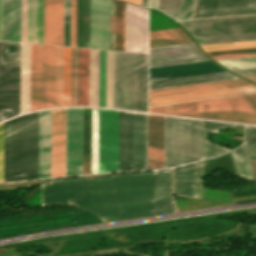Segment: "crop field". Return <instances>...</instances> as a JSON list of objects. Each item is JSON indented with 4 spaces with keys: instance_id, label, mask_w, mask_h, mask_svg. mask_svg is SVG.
<instances>
[{
    "instance_id": "8a807250",
    "label": "crop field",
    "mask_w": 256,
    "mask_h": 256,
    "mask_svg": "<svg viewBox=\"0 0 256 256\" xmlns=\"http://www.w3.org/2000/svg\"><path fill=\"white\" fill-rule=\"evenodd\" d=\"M50 182L41 185V206L76 205L102 222L153 215V173Z\"/></svg>"
},
{
    "instance_id": "ac0d7876",
    "label": "crop field",
    "mask_w": 256,
    "mask_h": 256,
    "mask_svg": "<svg viewBox=\"0 0 256 256\" xmlns=\"http://www.w3.org/2000/svg\"><path fill=\"white\" fill-rule=\"evenodd\" d=\"M148 112L256 124V94L153 106Z\"/></svg>"
},
{
    "instance_id": "34b2d1b8",
    "label": "crop field",
    "mask_w": 256,
    "mask_h": 256,
    "mask_svg": "<svg viewBox=\"0 0 256 256\" xmlns=\"http://www.w3.org/2000/svg\"><path fill=\"white\" fill-rule=\"evenodd\" d=\"M200 160V121L165 117V168Z\"/></svg>"
},
{
    "instance_id": "412701ff",
    "label": "crop field",
    "mask_w": 256,
    "mask_h": 256,
    "mask_svg": "<svg viewBox=\"0 0 256 256\" xmlns=\"http://www.w3.org/2000/svg\"><path fill=\"white\" fill-rule=\"evenodd\" d=\"M118 171V111L99 109V173Z\"/></svg>"
},
{
    "instance_id": "f4fd0767",
    "label": "crop field",
    "mask_w": 256,
    "mask_h": 256,
    "mask_svg": "<svg viewBox=\"0 0 256 256\" xmlns=\"http://www.w3.org/2000/svg\"><path fill=\"white\" fill-rule=\"evenodd\" d=\"M135 53L115 52L114 108L134 110Z\"/></svg>"
},
{
    "instance_id": "dd49c442",
    "label": "crop field",
    "mask_w": 256,
    "mask_h": 256,
    "mask_svg": "<svg viewBox=\"0 0 256 256\" xmlns=\"http://www.w3.org/2000/svg\"><path fill=\"white\" fill-rule=\"evenodd\" d=\"M82 175V108L66 109V176Z\"/></svg>"
},
{
    "instance_id": "e52e79f7",
    "label": "crop field",
    "mask_w": 256,
    "mask_h": 256,
    "mask_svg": "<svg viewBox=\"0 0 256 256\" xmlns=\"http://www.w3.org/2000/svg\"><path fill=\"white\" fill-rule=\"evenodd\" d=\"M148 10L125 2V51L147 53Z\"/></svg>"
},
{
    "instance_id": "d8731c3e",
    "label": "crop field",
    "mask_w": 256,
    "mask_h": 256,
    "mask_svg": "<svg viewBox=\"0 0 256 256\" xmlns=\"http://www.w3.org/2000/svg\"><path fill=\"white\" fill-rule=\"evenodd\" d=\"M256 13V0H195L191 19Z\"/></svg>"
},
{
    "instance_id": "5a996713",
    "label": "crop field",
    "mask_w": 256,
    "mask_h": 256,
    "mask_svg": "<svg viewBox=\"0 0 256 256\" xmlns=\"http://www.w3.org/2000/svg\"><path fill=\"white\" fill-rule=\"evenodd\" d=\"M206 60L194 43L149 49V68Z\"/></svg>"
},
{
    "instance_id": "3316defc",
    "label": "crop field",
    "mask_w": 256,
    "mask_h": 256,
    "mask_svg": "<svg viewBox=\"0 0 256 256\" xmlns=\"http://www.w3.org/2000/svg\"><path fill=\"white\" fill-rule=\"evenodd\" d=\"M89 48L109 49V0H89Z\"/></svg>"
},
{
    "instance_id": "28ad6ade",
    "label": "crop field",
    "mask_w": 256,
    "mask_h": 256,
    "mask_svg": "<svg viewBox=\"0 0 256 256\" xmlns=\"http://www.w3.org/2000/svg\"><path fill=\"white\" fill-rule=\"evenodd\" d=\"M65 176V109L51 110V178Z\"/></svg>"
},
{
    "instance_id": "d1516ede",
    "label": "crop field",
    "mask_w": 256,
    "mask_h": 256,
    "mask_svg": "<svg viewBox=\"0 0 256 256\" xmlns=\"http://www.w3.org/2000/svg\"><path fill=\"white\" fill-rule=\"evenodd\" d=\"M22 42L43 44V0H22Z\"/></svg>"
},
{
    "instance_id": "22f410ed",
    "label": "crop field",
    "mask_w": 256,
    "mask_h": 256,
    "mask_svg": "<svg viewBox=\"0 0 256 256\" xmlns=\"http://www.w3.org/2000/svg\"><path fill=\"white\" fill-rule=\"evenodd\" d=\"M132 170H147V115L132 113Z\"/></svg>"
},
{
    "instance_id": "cbeb9de0",
    "label": "crop field",
    "mask_w": 256,
    "mask_h": 256,
    "mask_svg": "<svg viewBox=\"0 0 256 256\" xmlns=\"http://www.w3.org/2000/svg\"><path fill=\"white\" fill-rule=\"evenodd\" d=\"M164 168V117L148 115V169Z\"/></svg>"
},
{
    "instance_id": "5142ce71",
    "label": "crop field",
    "mask_w": 256,
    "mask_h": 256,
    "mask_svg": "<svg viewBox=\"0 0 256 256\" xmlns=\"http://www.w3.org/2000/svg\"><path fill=\"white\" fill-rule=\"evenodd\" d=\"M248 93H256V86L249 85V86L153 97V98H149L148 106L216 98V97H224V96H232V95H240V94H248Z\"/></svg>"
},
{
    "instance_id": "d9b57169",
    "label": "crop field",
    "mask_w": 256,
    "mask_h": 256,
    "mask_svg": "<svg viewBox=\"0 0 256 256\" xmlns=\"http://www.w3.org/2000/svg\"><path fill=\"white\" fill-rule=\"evenodd\" d=\"M63 0H44V44L62 46Z\"/></svg>"
},
{
    "instance_id": "733c2abd",
    "label": "crop field",
    "mask_w": 256,
    "mask_h": 256,
    "mask_svg": "<svg viewBox=\"0 0 256 256\" xmlns=\"http://www.w3.org/2000/svg\"><path fill=\"white\" fill-rule=\"evenodd\" d=\"M50 178V110L38 112V179Z\"/></svg>"
},
{
    "instance_id": "4a817a6b",
    "label": "crop field",
    "mask_w": 256,
    "mask_h": 256,
    "mask_svg": "<svg viewBox=\"0 0 256 256\" xmlns=\"http://www.w3.org/2000/svg\"><path fill=\"white\" fill-rule=\"evenodd\" d=\"M43 108V46L31 44L30 111Z\"/></svg>"
},
{
    "instance_id": "bc2a9ffb",
    "label": "crop field",
    "mask_w": 256,
    "mask_h": 256,
    "mask_svg": "<svg viewBox=\"0 0 256 256\" xmlns=\"http://www.w3.org/2000/svg\"><path fill=\"white\" fill-rule=\"evenodd\" d=\"M131 170V113L119 111V171Z\"/></svg>"
},
{
    "instance_id": "214f88e0",
    "label": "crop field",
    "mask_w": 256,
    "mask_h": 256,
    "mask_svg": "<svg viewBox=\"0 0 256 256\" xmlns=\"http://www.w3.org/2000/svg\"><path fill=\"white\" fill-rule=\"evenodd\" d=\"M3 40L19 42L20 0H2Z\"/></svg>"
},
{
    "instance_id": "92a150f3",
    "label": "crop field",
    "mask_w": 256,
    "mask_h": 256,
    "mask_svg": "<svg viewBox=\"0 0 256 256\" xmlns=\"http://www.w3.org/2000/svg\"><path fill=\"white\" fill-rule=\"evenodd\" d=\"M55 47L44 46V108L54 107Z\"/></svg>"
},
{
    "instance_id": "dafd665d",
    "label": "crop field",
    "mask_w": 256,
    "mask_h": 256,
    "mask_svg": "<svg viewBox=\"0 0 256 256\" xmlns=\"http://www.w3.org/2000/svg\"><path fill=\"white\" fill-rule=\"evenodd\" d=\"M147 54L136 53L135 110L146 112Z\"/></svg>"
},
{
    "instance_id": "00972430",
    "label": "crop field",
    "mask_w": 256,
    "mask_h": 256,
    "mask_svg": "<svg viewBox=\"0 0 256 256\" xmlns=\"http://www.w3.org/2000/svg\"><path fill=\"white\" fill-rule=\"evenodd\" d=\"M230 79H238V77L228 72H224V73H217V74H210V75H202V76H195V77H188V78H181V79H174V80L152 82V83H149V87H150L149 90L183 86V85H191V84H199V83H207V82H214V81H222V80H230Z\"/></svg>"
},
{
    "instance_id": "a9b5d70f",
    "label": "crop field",
    "mask_w": 256,
    "mask_h": 256,
    "mask_svg": "<svg viewBox=\"0 0 256 256\" xmlns=\"http://www.w3.org/2000/svg\"><path fill=\"white\" fill-rule=\"evenodd\" d=\"M249 84L250 83H248L242 79H238V80H230V81L214 82V83H207V84L176 87V88L152 90V91H149V97L177 94V93H185V92H193V91H201V90H209V89H217V88H225V87H233V86H241V85H249Z\"/></svg>"
},
{
    "instance_id": "4177f3b9",
    "label": "crop field",
    "mask_w": 256,
    "mask_h": 256,
    "mask_svg": "<svg viewBox=\"0 0 256 256\" xmlns=\"http://www.w3.org/2000/svg\"><path fill=\"white\" fill-rule=\"evenodd\" d=\"M224 127H233V124L201 121V160L214 156H219L229 151V149L222 146L211 144L207 142L205 139L206 131L218 132L219 129Z\"/></svg>"
},
{
    "instance_id": "730fd06b",
    "label": "crop field",
    "mask_w": 256,
    "mask_h": 256,
    "mask_svg": "<svg viewBox=\"0 0 256 256\" xmlns=\"http://www.w3.org/2000/svg\"><path fill=\"white\" fill-rule=\"evenodd\" d=\"M184 28H204L256 23V15L179 22Z\"/></svg>"
},
{
    "instance_id": "eef30255",
    "label": "crop field",
    "mask_w": 256,
    "mask_h": 256,
    "mask_svg": "<svg viewBox=\"0 0 256 256\" xmlns=\"http://www.w3.org/2000/svg\"><path fill=\"white\" fill-rule=\"evenodd\" d=\"M190 42L192 40L180 28L149 32V48Z\"/></svg>"
},
{
    "instance_id": "ae1a2a85",
    "label": "crop field",
    "mask_w": 256,
    "mask_h": 256,
    "mask_svg": "<svg viewBox=\"0 0 256 256\" xmlns=\"http://www.w3.org/2000/svg\"><path fill=\"white\" fill-rule=\"evenodd\" d=\"M76 47L88 48V0H77Z\"/></svg>"
},
{
    "instance_id": "d3111659",
    "label": "crop field",
    "mask_w": 256,
    "mask_h": 256,
    "mask_svg": "<svg viewBox=\"0 0 256 256\" xmlns=\"http://www.w3.org/2000/svg\"><path fill=\"white\" fill-rule=\"evenodd\" d=\"M30 44H22L21 113L29 111Z\"/></svg>"
},
{
    "instance_id": "750c4746",
    "label": "crop field",
    "mask_w": 256,
    "mask_h": 256,
    "mask_svg": "<svg viewBox=\"0 0 256 256\" xmlns=\"http://www.w3.org/2000/svg\"><path fill=\"white\" fill-rule=\"evenodd\" d=\"M89 106H98V50L89 49Z\"/></svg>"
},
{
    "instance_id": "bd1437ed",
    "label": "crop field",
    "mask_w": 256,
    "mask_h": 256,
    "mask_svg": "<svg viewBox=\"0 0 256 256\" xmlns=\"http://www.w3.org/2000/svg\"><path fill=\"white\" fill-rule=\"evenodd\" d=\"M188 31L192 34L193 37L256 32V24L228 26V27H216V28H204V29H192V30H188Z\"/></svg>"
},
{
    "instance_id": "1d83c4d3",
    "label": "crop field",
    "mask_w": 256,
    "mask_h": 256,
    "mask_svg": "<svg viewBox=\"0 0 256 256\" xmlns=\"http://www.w3.org/2000/svg\"><path fill=\"white\" fill-rule=\"evenodd\" d=\"M79 106H88V49H80Z\"/></svg>"
},
{
    "instance_id": "120bbe31",
    "label": "crop field",
    "mask_w": 256,
    "mask_h": 256,
    "mask_svg": "<svg viewBox=\"0 0 256 256\" xmlns=\"http://www.w3.org/2000/svg\"><path fill=\"white\" fill-rule=\"evenodd\" d=\"M233 160V164L238 176L247 178L253 181L250 165L248 162L246 150L244 144L237 149L230 152Z\"/></svg>"
},
{
    "instance_id": "d32e631a",
    "label": "crop field",
    "mask_w": 256,
    "mask_h": 256,
    "mask_svg": "<svg viewBox=\"0 0 256 256\" xmlns=\"http://www.w3.org/2000/svg\"><path fill=\"white\" fill-rule=\"evenodd\" d=\"M199 45L256 40V33L195 38Z\"/></svg>"
},
{
    "instance_id": "5866460e",
    "label": "crop field",
    "mask_w": 256,
    "mask_h": 256,
    "mask_svg": "<svg viewBox=\"0 0 256 256\" xmlns=\"http://www.w3.org/2000/svg\"><path fill=\"white\" fill-rule=\"evenodd\" d=\"M79 49L71 48V106H78Z\"/></svg>"
},
{
    "instance_id": "028f5c9d",
    "label": "crop field",
    "mask_w": 256,
    "mask_h": 256,
    "mask_svg": "<svg viewBox=\"0 0 256 256\" xmlns=\"http://www.w3.org/2000/svg\"><path fill=\"white\" fill-rule=\"evenodd\" d=\"M98 173V109H92L91 174Z\"/></svg>"
},
{
    "instance_id": "e1f06a70",
    "label": "crop field",
    "mask_w": 256,
    "mask_h": 256,
    "mask_svg": "<svg viewBox=\"0 0 256 256\" xmlns=\"http://www.w3.org/2000/svg\"><path fill=\"white\" fill-rule=\"evenodd\" d=\"M63 106H70V48L63 47Z\"/></svg>"
},
{
    "instance_id": "0bd39190",
    "label": "crop field",
    "mask_w": 256,
    "mask_h": 256,
    "mask_svg": "<svg viewBox=\"0 0 256 256\" xmlns=\"http://www.w3.org/2000/svg\"><path fill=\"white\" fill-rule=\"evenodd\" d=\"M62 106V47H56L55 107Z\"/></svg>"
},
{
    "instance_id": "b80d0937",
    "label": "crop field",
    "mask_w": 256,
    "mask_h": 256,
    "mask_svg": "<svg viewBox=\"0 0 256 256\" xmlns=\"http://www.w3.org/2000/svg\"><path fill=\"white\" fill-rule=\"evenodd\" d=\"M216 61L229 69L256 67V57L220 59Z\"/></svg>"
},
{
    "instance_id": "c035e120",
    "label": "crop field",
    "mask_w": 256,
    "mask_h": 256,
    "mask_svg": "<svg viewBox=\"0 0 256 256\" xmlns=\"http://www.w3.org/2000/svg\"><path fill=\"white\" fill-rule=\"evenodd\" d=\"M180 3L181 0H159L157 8L177 20Z\"/></svg>"
},
{
    "instance_id": "c21b1889",
    "label": "crop field",
    "mask_w": 256,
    "mask_h": 256,
    "mask_svg": "<svg viewBox=\"0 0 256 256\" xmlns=\"http://www.w3.org/2000/svg\"><path fill=\"white\" fill-rule=\"evenodd\" d=\"M105 51L99 50V106L104 107Z\"/></svg>"
},
{
    "instance_id": "03da06ac",
    "label": "crop field",
    "mask_w": 256,
    "mask_h": 256,
    "mask_svg": "<svg viewBox=\"0 0 256 256\" xmlns=\"http://www.w3.org/2000/svg\"><path fill=\"white\" fill-rule=\"evenodd\" d=\"M204 51L256 47V41L200 46Z\"/></svg>"
},
{
    "instance_id": "b54c1fbb",
    "label": "crop field",
    "mask_w": 256,
    "mask_h": 256,
    "mask_svg": "<svg viewBox=\"0 0 256 256\" xmlns=\"http://www.w3.org/2000/svg\"><path fill=\"white\" fill-rule=\"evenodd\" d=\"M245 144L249 156H256V127L246 126Z\"/></svg>"
},
{
    "instance_id": "5d738f31",
    "label": "crop field",
    "mask_w": 256,
    "mask_h": 256,
    "mask_svg": "<svg viewBox=\"0 0 256 256\" xmlns=\"http://www.w3.org/2000/svg\"><path fill=\"white\" fill-rule=\"evenodd\" d=\"M64 46H70V0H64Z\"/></svg>"
},
{
    "instance_id": "d23c7cc5",
    "label": "crop field",
    "mask_w": 256,
    "mask_h": 256,
    "mask_svg": "<svg viewBox=\"0 0 256 256\" xmlns=\"http://www.w3.org/2000/svg\"><path fill=\"white\" fill-rule=\"evenodd\" d=\"M195 197L202 198V161L195 163Z\"/></svg>"
},
{
    "instance_id": "425ffa30",
    "label": "crop field",
    "mask_w": 256,
    "mask_h": 256,
    "mask_svg": "<svg viewBox=\"0 0 256 256\" xmlns=\"http://www.w3.org/2000/svg\"><path fill=\"white\" fill-rule=\"evenodd\" d=\"M194 0H182L178 20L190 19Z\"/></svg>"
},
{
    "instance_id": "25e5ab78",
    "label": "crop field",
    "mask_w": 256,
    "mask_h": 256,
    "mask_svg": "<svg viewBox=\"0 0 256 256\" xmlns=\"http://www.w3.org/2000/svg\"><path fill=\"white\" fill-rule=\"evenodd\" d=\"M45 183H49V182L47 180H42V181L12 183V184H0V189H13L17 187H27L31 185L45 184Z\"/></svg>"
},
{
    "instance_id": "73cf0c24",
    "label": "crop field",
    "mask_w": 256,
    "mask_h": 256,
    "mask_svg": "<svg viewBox=\"0 0 256 256\" xmlns=\"http://www.w3.org/2000/svg\"><path fill=\"white\" fill-rule=\"evenodd\" d=\"M76 0H71V46L75 47Z\"/></svg>"
},
{
    "instance_id": "89e229c0",
    "label": "crop field",
    "mask_w": 256,
    "mask_h": 256,
    "mask_svg": "<svg viewBox=\"0 0 256 256\" xmlns=\"http://www.w3.org/2000/svg\"><path fill=\"white\" fill-rule=\"evenodd\" d=\"M0 182H3V123L0 124Z\"/></svg>"
},
{
    "instance_id": "1f2cbd36",
    "label": "crop field",
    "mask_w": 256,
    "mask_h": 256,
    "mask_svg": "<svg viewBox=\"0 0 256 256\" xmlns=\"http://www.w3.org/2000/svg\"><path fill=\"white\" fill-rule=\"evenodd\" d=\"M242 76H247V75H256V68H248V69H236L232 70Z\"/></svg>"
},
{
    "instance_id": "dbb93151",
    "label": "crop field",
    "mask_w": 256,
    "mask_h": 256,
    "mask_svg": "<svg viewBox=\"0 0 256 256\" xmlns=\"http://www.w3.org/2000/svg\"><path fill=\"white\" fill-rule=\"evenodd\" d=\"M244 56H256V53L226 55V56H215V57H212V58L213 59H220V58H232V57H244Z\"/></svg>"
},
{
    "instance_id": "0fb4a251",
    "label": "crop field",
    "mask_w": 256,
    "mask_h": 256,
    "mask_svg": "<svg viewBox=\"0 0 256 256\" xmlns=\"http://www.w3.org/2000/svg\"><path fill=\"white\" fill-rule=\"evenodd\" d=\"M249 161H250L254 181L256 182V161H254V160H249Z\"/></svg>"
},
{
    "instance_id": "1d79db26",
    "label": "crop field",
    "mask_w": 256,
    "mask_h": 256,
    "mask_svg": "<svg viewBox=\"0 0 256 256\" xmlns=\"http://www.w3.org/2000/svg\"><path fill=\"white\" fill-rule=\"evenodd\" d=\"M157 1L158 0H148V5L147 7H155L157 6Z\"/></svg>"
},
{
    "instance_id": "9d1cf04e",
    "label": "crop field",
    "mask_w": 256,
    "mask_h": 256,
    "mask_svg": "<svg viewBox=\"0 0 256 256\" xmlns=\"http://www.w3.org/2000/svg\"><path fill=\"white\" fill-rule=\"evenodd\" d=\"M0 40H2L1 0H0Z\"/></svg>"
},
{
    "instance_id": "447ae74e",
    "label": "crop field",
    "mask_w": 256,
    "mask_h": 256,
    "mask_svg": "<svg viewBox=\"0 0 256 256\" xmlns=\"http://www.w3.org/2000/svg\"><path fill=\"white\" fill-rule=\"evenodd\" d=\"M246 78H248V79H250V80L256 82V76H248V77H246Z\"/></svg>"
},
{
    "instance_id": "0765c3eb",
    "label": "crop field",
    "mask_w": 256,
    "mask_h": 256,
    "mask_svg": "<svg viewBox=\"0 0 256 256\" xmlns=\"http://www.w3.org/2000/svg\"><path fill=\"white\" fill-rule=\"evenodd\" d=\"M140 5H142V6H145V7H146V5H147V0H141Z\"/></svg>"
},
{
    "instance_id": "db79e9e6",
    "label": "crop field",
    "mask_w": 256,
    "mask_h": 256,
    "mask_svg": "<svg viewBox=\"0 0 256 256\" xmlns=\"http://www.w3.org/2000/svg\"><path fill=\"white\" fill-rule=\"evenodd\" d=\"M129 1H132V2H135V3H138L140 2V0H129Z\"/></svg>"
}]
</instances>
